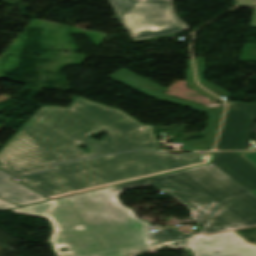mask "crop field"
Segmentation results:
<instances>
[{
    "instance_id": "22f410ed",
    "label": "crop field",
    "mask_w": 256,
    "mask_h": 256,
    "mask_svg": "<svg viewBox=\"0 0 256 256\" xmlns=\"http://www.w3.org/2000/svg\"><path fill=\"white\" fill-rule=\"evenodd\" d=\"M194 61H195L197 79H198L199 84L220 97L224 96V97L228 98L230 96L229 93L225 92L221 88H219L213 84H210L204 80L203 73L206 71V68H205L203 57L196 58V59H194Z\"/></svg>"
},
{
    "instance_id": "d9b57169",
    "label": "crop field",
    "mask_w": 256,
    "mask_h": 256,
    "mask_svg": "<svg viewBox=\"0 0 256 256\" xmlns=\"http://www.w3.org/2000/svg\"><path fill=\"white\" fill-rule=\"evenodd\" d=\"M134 253H138V251H136L133 248H130V249H125V250H120L115 252L102 253V254L89 255V256H127V254H134Z\"/></svg>"
},
{
    "instance_id": "412701ff",
    "label": "crop field",
    "mask_w": 256,
    "mask_h": 256,
    "mask_svg": "<svg viewBox=\"0 0 256 256\" xmlns=\"http://www.w3.org/2000/svg\"><path fill=\"white\" fill-rule=\"evenodd\" d=\"M51 242L57 256H83L153 244L148 228L140 223L56 231ZM60 246L70 251L59 253Z\"/></svg>"
},
{
    "instance_id": "8a807250",
    "label": "crop field",
    "mask_w": 256,
    "mask_h": 256,
    "mask_svg": "<svg viewBox=\"0 0 256 256\" xmlns=\"http://www.w3.org/2000/svg\"><path fill=\"white\" fill-rule=\"evenodd\" d=\"M106 131L96 141L89 135ZM83 144L90 153L77 147ZM159 150L153 125H143L120 109L76 97L68 108L42 106L0 150V169L19 176L53 164L111 153Z\"/></svg>"
},
{
    "instance_id": "3316defc",
    "label": "crop field",
    "mask_w": 256,
    "mask_h": 256,
    "mask_svg": "<svg viewBox=\"0 0 256 256\" xmlns=\"http://www.w3.org/2000/svg\"><path fill=\"white\" fill-rule=\"evenodd\" d=\"M212 164L248 190L256 189V168L234 152H216Z\"/></svg>"
},
{
    "instance_id": "5a996713",
    "label": "crop field",
    "mask_w": 256,
    "mask_h": 256,
    "mask_svg": "<svg viewBox=\"0 0 256 256\" xmlns=\"http://www.w3.org/2000/svg\"><path fill=\"white\" fill-rule=\"evenodd\" d=\"M239 237L230 231L193 238L189 245L195 256H256V246Z\"/></svg>"
},
{
    "instance_id": "dd49c442",
    "label": "crop field",
    "mask_w": 256,
    "mask_h": 256,
    "mask_svg": "<svg viewBox=\"0 0 256 256\" xmlns=\"http://www.w3.org/2000/svg\"><path fill=\"white\" fill-rule=\"evenodd\" d=\"M108 77L119 81L127 86H130L136 90H139L147 95H150L158 100L170 101L180 105L189 107L190 109H195L206 113L209 118L205 127L204 135L202 139H193L185 143L184 149L189 150H211L216 138L217 130L219 127L220 119L222 116L223 108L219 107L218 109H208L203 107L204 105H198L170 96H166L161 92L165 88L156 85L148 80H145L126 69H121Z\"/></svg>"
},
{
    "instance_id": "733c2abd",
    "label": "crop field",
    "mask_w": 256,
    "mask_h": 256,
    "mask_svg": "<svg viewBox=\"0 0 256 256\" xmlns=\"http://www.w3.org/2000/svg\"><path fill=\"white\" fill-rule=\"evenodd\" d=\"M256 167V152H235ZM256 195V190L252 191Z\"/></svg>"
},
{
    "instance_id": "28ad6ade",
    "label": "crop field",
    "mask_w": 256,
    "mask_h": 256,
    "mask_svg": "<svg viewBox=\"0 0 256 256\" xmlns=\"http://www.w3.org/2000/svg\"><path fill=\"white\" fill-rule=\"evenodd\" d=\"M10 178L0 171V198L19 206L47 200L24 185L10 180Z\"/></svg>"
},
{
    "instance_id": "dafd665d",
    "label": "crop field",
    "mask_w": 256,
    "mask_h": 256,
    "mask_svg": "<svg viewBox=\"0 0 256 256\" xmlns=\"http://www.w3.org/2000/svg\"><path fill=\"white\" fill-rule=\"evenodd\" d=\"M256 6V5H255Z\"/></svg>"
},
{
    "instance_id": "5142ce71",
    "label": "crop field",
    "mask_w": 256,
    "mask_h": 256,
    "mask_svg": "<svg viewBox=\"0 0 256 256\" xmlns=\"http://www.w3.org/2000/svg\"><path fill=\"white\" fill-rule=\"evenodd\" d=\"M187 62H188V66H189V69L186 71L188 87L192 88L193 90L197 91L198 93L202 94L203 96L207 97L208 99H210L212 101H220L217 98H215L214 96H212L210 93H208L207 91L199 88L195 84L191 59L187 60Z\"/></svg>"
},
{
    "instance_id": "cbeb9de0",
    "label": "crop field",
    "mask_w": 256,
    "mask_h": 256,
    "mask_svg": "<svg viewBox=\"0 0 256 256\" xmlns=\"http://www.w3.org/2000/svg\"><path fill=\"white\" fill-rule=\"evenodd\" d=\"M153 243H163L169 241L181 240L189 237H194V235H180L179 232L175 230V228L169 229H158V232L150 233Z\"/></svg>"
},
{
    "instance_id": "e52e79f7",
    "label": "crop field",
    "mask_w": 256,
    "mask_h": 256,
    "mask_svg": "<svg viewBox=\"0 0 256 256\" xmlns=\"http://www.w3.org/2000/svg\"><path fill=\"white\" fill-rule=\"evenodd\" d=\"M254 225H256V196L250 192L221 205L199 232L210 234Z\"/></svg>"
},
{
    "instance_id": "d8731c3e",
    "label": "crop field",
    "mask_w": 256,
    "mask_h": 256,
    "mask_svg": "<svg viewBox=\"0 0 256 256\" xmlns=\"http://www.w3.org/2000/svg\"><path fill=\"white\" fill-rule=\"evenodd\" d=\"M256 121V104L238 102L228 107L217 150L247 149Z\"/></svg>"
},
{
    "instance_id": "d1516ede",
    "label": "crop field",
    "mask_w": 256,
    "mask_h": 256,
    "mask_svg": "<svg viewBox=\"0 0 256 256\" xmlns=\"http://www.w3.org/2000/svg\"><path fill=\"white\" fill-rule=\"evenodd\" d=\"M54 204H55L54 201L51 200V201H47V202H42V203H38V204H33V205H28V206L20 207L17 209H13V211L18 212V213H26V214H32V215H36V216L46 217L51 221V223L53 225L50 215H51V211H52ZM53 229H54V232H53V235H54V233L56 231L54 225H53ZM53 235H52V237H53ZM52 237H51V239H52Z\"/></svg>"
},
{
    "instance_id": "34b2d1b8",
    "label": "crop field",
    "mask_w": 256,
    "mask_h": 256,
    "mask_svg": "<svg viewBox=\"0 0 256 256\" xmlns=\"http://www.w3.org/2000/svg\"><path fill=\"white\" fill-rule=\"evenodd\" d=\"M213 152L172 156L134 151L54 166L20 177V183L52 199L210 162Z\"/></svg>"
},
{
    "instance_id": "bc2a9ffb",
    "label": "crop field",
    "mask_w": 256,
    "mask_h": 256,
    "mask_svg": "<svg viewBox=\"0 0 256 256\" xmlns=\"http://www.w3.org/2000/svg\"><path fill=\"white\" fill-rule=\"evenodd\" d=\"M235 5H247V6H253L255 0H234Z\"/></svg>"
},
{
    "instance_id": "ac0d7876",
    "label": "crop field",
    "mask_w": 256,
    "mask_h": 256,
    "mask_svg": "<svg viewBox=\"0 0 256 256\" xmlns=\"http://www.w3.org/2000/svg\"><path fill=\"white\" fill-rule=\"evenodd\" d=\"M148 184L172 190L169 194L189 207L193 220L201 225L222 203L249 192L209 164L56 199L52 220L57 230L126 222H141L148 227L149 222L137 218L117 198L121 191Z\"/></svg>"
},
{
    "instance_id": "92a150f3",
    "label": "crop field",
    "mask_w": 256,
    "mask_h": 256,
    "mask_svg": "<svg viewBox=\"0 0 256 256\" xmlns=\"http://www.w3.org/2000/svg\"><path fill=\"white\" fill-rule=\"evenodd\" d=\"M250 27L256 28V8H254V10H253V15H252V20H251Z\"/></svg>"
},
{
    "instance_id": "214f88e0",
    "label": "crop field",
    "mask_w": 256,
    "mask_h": 256,
    "mask_svg": "<svg viewBox=\"0 0 256 256\" xmlns=\"http://www.w3.org/2000/svg\"><path fill=\"white\" fill-rule=\"evenodd\" d=\"M158 244L156 245H151V246H145V247H137L135 249H137L138 251L142 252V251H146V250H150V249H154L157 247Z\"/></svg>"
},
{
    "instance_id": "4a817a6b",
    "label": "crop field",
    "mask_w": 256,
    "mask_h": 256,
    "mask_svg": "<svg viewBox=\"0 0 256 256\" xmlns=\"http://www.w3.org/2000/svg\"><path fill=\"white\" fill-rule=\"evenodd\" d=\"M12 207H18V206L15 205V204H12L10 202H7L3 199H0V210L7 209V208H12Z\"/></svg>"
},
{
    "instance_id": "f4fd0767",
    "label": "crop field",
    "mask_w": 256,
    "mask_h": 256,
    "mask_svg": "<svg viewBox=\"0 0 256 256\" xmlns=\"http://www.w3.org/2000/svg\"><path fill=\"white\" fill-rule=\"evenodd\" d=\"M134 42L177 34L186 30L173 16L169 0H109Z\"/></svg>"
}]
</instances>
